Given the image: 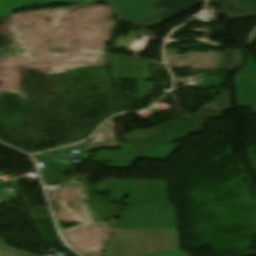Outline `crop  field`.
I'll return each mask as SVG.
<instances>
[{
  "label": "crop field",
  "instance_id": "crop-field-10",
  "mask_svg": "<svg viewBox=\"0 0 256 256\" xmlns=\"http://www.w3.org/2000/svg\"><path fill=\"white\" fill-rule=\"evenodd\" d=\"M154 85H161V83L139 82L137 85V89H136L134 98L145 99L146 96L149 93H151Z\"/></svg>",
  "mask_w": 256,
  "mask_h": 256
},
{
  "label": "crop field",
  "instance_id": "crop-field-7",
  "mask_svg": "<svg viewBox=\"0 0 256 256\" xmlns=\"http://www.w3.org/2000/svg\"><path fill=\"white\" fill-rule=\"evenodd\" d=\"M222 6L228 19L256 17V0H209Z\"/></svg>",
  "mask_w": 256,
  "mask_h": 256
},
{
  "label": "crop field",
  "instance_id": "crop-field-15",
  "mask_svg": "<svg viewBox=\"0 0 256 256\" xmlns=\"http://www.w3.org/2000/svg\"><path fill=\"white\" fill-rule=\"evenodd\" d=\"M246 54H249V52L246 50ZM250 55V54H249ZM251 57V56H250ZM251 59H252V57H251ZM252 61H253V59H252ZM254 62V61H253ZM254 64H255V62H254ZM255 66H256V64H255Z\"/></svg>",
  "mask_w": 256,
  "mask_h": 256
},
{
  "label": "crop field",
  "instance_id": "crop-field-11",
  "mask_svg": "<svg viewBox=\"0 0 256 256\" xmlns=\"http://www.w3.org/2000/svg\"><path fill=\"white\" fill-rule=\"evenodd\" d=\"M5 241L0 239V256H26L30 253L11 248L7 245H5Z\"/></svg>",
  "mask_w": 256,
  "mask_h": 256
},
{
  "label": "crop field",
  "instance_id": "crop-field-12",
  "mask_svg": "<svg viewBox=\"0 0 256 256\" xmlns=\"http://www.w3.org/2000/svg\"><path fill=\"white\" fill-rule=\"evenodd\" d=\"M224 76H221L219 78H213V77H208L206 80L203 81L202 85L203 86H220Z\"/></svg>",
  "mask_w": 256,
  "mask_h": 256
},
{
  "label": "crop field",
  "instance_id": "crop-field-13",
  "mask_svg": "<svg viewBox=\"0 0 256 256\" xmlns=\"http://www.w3.org/2000/svg\"><path fill=\"white\" fill-rule=\"evenodd\" d=\"M149 256H188V255L184 253L182 250H178V251L160 253V254L149 255Z\"/></svg>",
  "mask_w": 256,
  "mask_h": 256
},
{
  "label": "crop field",
  "instance_id": "crop-field-4",
  "mask_svg": "<svg viewBox=\"0 0 256 256\" xmlns=\"http://www.w3.org/2000/svg\"><path fill=\"white\" fill-rule=\"evenodd\" d=\"M159 0H90L89 2H109L113 5L118 20L138 23L158 12L150 9Z\"/></svg>",
  "mask_w": 256,
  "mask_h": 256
},
{
  "label": "crop field",
  "instance_id": "crop-field-6",
  "mask_svg": "<svg viewBox=\"0 0 256 256\" xmlns=\"http://www.w3.org/2000/svg\"><path fill=\"white\" fill-rule=\"evenodd\" d=\"M202 2L204 0H160L152 8L164 11L135 26L141 27L154 20L164 22Z\"/></svg>",
  "mask_w": 256,
  "mask_h": 256
},
{
  "label": "crop field",
  "instance_id": "crop-field-1",
  "mask_svg": "<svg viewBox=\"0 0 256 256\" xmlns=\"http://www.w3.org/2000/svg\"><path fill=\"white\" fill-rule=\"evenodd\" d=\"M98 191H111L113 200L130 195L125 202L132 211L115 214L107 200L86 199L97 221L120 216L105 256H143L178 250L176 214L167 200V182L107 180Z\"/></svg>",
  "mask_w": 256,
  "mask_h": 256
},
{
  "label": "crop field",
  "instance_id": "crop-field-8",
  "mask_svg": "<svg viewBox=\"0 0 256 256\" xmlns=\"http://www.w3.org/2000/svg\"><path fill=\"white\" fill-rule=\"evenodd\" d=\"M89 0H0V16L22 7H33L36 2L52 3H88Z\"/></svg>",
  "mask_w": 256,
  "mask_h": 256
},
{
  "label": "crop field",
  "instance_id": "crop-field-9",
  "mask_svg": "<svg viewBox=\"0 0 256 256\" xmlns=\"http://www.w3.org/2000/svg\"><path fill=\"white\" fill-rule=\"evenodd\" d=\"M229 72L232 73L242 64V50H226Z\"/></svg>",
  "mask_w": 256,
  "mask_h": 256
},
{
  "label": "crop field",
  "instance_id": "crop-field-2",
  "mask_svg": "<svg viewBox=\"0 0 256 256\" xmlns=\"http://www.w3.org/2000/svg\"><path fill=\"white\" fill-rule=\"evenodd\" d=\"M230 105V90H223L220 95L216 96L215 103H207L193 116H184L147 131L135 130L125 135L123 140L127 142L172 143L192 132H200L202 123L207 118H221L225 109L231 110Z\"/></svg>",
  "mask_w": 256,
  "mask_h": 256
},
{
  "label": "crop field",
  "instance_id": "crop-field-14",
  "mask_svg": "<svg viewBox=\"0 0 256 256\" xmlns=\"http://www.w3.org/2000/svg\"><path fill=\"white\" fill-rule=\"evenodd\" d=\"M9 190L10 189L0 190V203H2V202L7 200L8 194H9Z\"/></svg>",
  "mask_w": 256,
  "mask_h": 256
},
{
  "label": "crop field",
  "instance_id": "crop-field-3",
  "mask_svg": "<svg viewBox=\"0 0 256 256\" xmlns=\"http://www.w3.org/2000/svg\"><path fill=\"white\" fill-rule=\"evenodd\" d=\"M179 145L130 143L122 152L100 151L98 157L164 160Z\"/></svg>",
  "mask_w": 256,
  "mask_h": 256
},
{
  "label": "crop field",
  "instance_id": "crop-field-5",
  "mask_svg": "<svg viewBox=\"0 0 256 256\" xmlns=\"http://www.w3.org/2000/svg\"><path fill=\"white\" fill-rule=\"evenodd\" d=\"M112 79L142 81L151 79L146 61L108 54Z\"/></svg>",
  "mask_w": 256,
  "mask_h": 256
}]
</instances>
